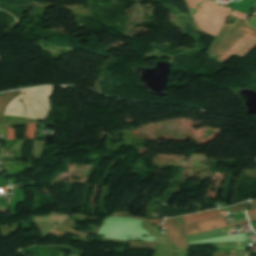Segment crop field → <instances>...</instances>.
<instances>
[{
    "mask_svg": "<svg viewBox=\"0 0 256 256\" xmlns=\"http://www.w3.org/2000/svg\"><path fill=\"white\" fill-rule=\"evenodd\" d=\"M256 45V37L246 34L231 49H229L219 60L225 61L234 52L244 56ZM235 53V54H236Z\"/></svg>",
    "mask_w": 256,
    "mask_h": 256,
    "instance_id": "crop-field-4",
    "label": "crop field"
},
{
    "mask_svg": "<svg viewBox=\"0 0 256 256\" xmlns=\"http://www.w3.org/2000/svg\"><path fill=\"white\" fill-rule=\"evenodd\" d=\"M36 124H27V130L25 136L27 138H34Z\"/></svg>",
    "mask_w": 256,
    "mask_h": 256,
    "instance_id": "crop-field-10",
    "label": "crop field"
},
{
    "mask_svg": "<svg viewBox=\"0 0 256 256\" xmlns=\"http://www.w3.org/2000/svg\"><path fill=\"white\" fill-rule=\"evenodd\" d=\"M20 93L21 92L18 90V91L9 92V93L5 94L4 96L0 97V115H3L4 107H5L6 103L9 100H11L14 97H16Z\"/></svg>",
    "mask_w": 256,
    "mask_h": 256,
    "instance_id": "crop-field-9",
    "label": "crop field"
},
{
    "mask_svg": "<svg viewBox=\"0 0 256 256\" xmlns=\"http://www.w3.org/2000/svg\"><path fill=\"white\" fill-rule=\"evenodd\" d=\"M246 33L241 30H236L223 41H221L215 49L210 53L209 57L219 58L223 53H225L229 48H231L243 35Z\"/></svg>",
    "mask_w": 256,
    "mask_h": 256,
    "instance_id": "crop-field-5",
    "label": "crop field"
},
{
    "mask_svg": "<svg viewBox=\"0 0 256 256\" xmlns=\"http://www.w3.org/2000/svg\"><path fill=\"white\" fill-rule=\"evenodd\" d=\"M218 217H220V216H219L217 210H213V211L193 214V215H189V216H184L182 218H183L184 223H191V222H195V221L218 218Z\"/></svg>",
    "mask_w": 256,
    "mask_h": 256,
    "instance_id": "crop-field-7",
    "label": "crop field"
},
{
    "mask_svg": "<svg viewBox=\"0 0 256 256\" xmlns=\"http://www.w3.org/2000/svg\"><path fill=\"white\" fill-rule=\"evenodd\" d=\"M247 213L250 221H253L256 219V209L250 210Z\"/></svg>",
    "mask_w": 256,
    "mask_h": 256,
    "instance_id": "crop-field-14",
    "label": "crop field"
},
{
    "mask_svg": "<svg viewBox=\"0 0 256 256\" xmlns=\"http://www.w3.org/2000/svg\"><path fill=\"white\" fill-rule=\"evenodd\" d=\"M240 28H242V29H244V30H246V31H248V32H250L251 34H253V35L256 36V33L252 32V31H250V30H248V29H246V28H244V27H242V26H241ZM250 33H249V34H250Z\"/></svg>",
    "mask_w": 256,
    "mask_h": 256,
    "instance_id": "crop-field-18",
    "label": "crop field"
},
{
    "mask_svg": "<svg viewBox=\"0 0 256 256\" xmlns=\"http://www.w3.org/2000/svg\"><path fill=\"white\" fill-rule=\"evenodd\" d=\"M116 215L127 216V217H134V216H131L129 213H122V214H116ZM134 218H139V217H134ZM140 219H148V218H140Z\"/></svg>",
    "mask_w": 256,
    "mask_h": 256,
    "instance_id": "crop-field-16",
    "label": "crop field"
},
{
    "mask_svg": "<svg viewBox=\"0 0 256 256\" xmlns=\"http://www.w3.org/2000/svg\"><path fill=\"white\" fill-rule=\"evenodd\" d=\"M246 222L247 221L227 225L225 218L222 217V218H218V219H213V220H208V221L183 225V227H184V230H185V234L190 235V234L201 232V231L213 230V229H217V228L242 224V223H246Z\"/></svg>",
    "mask_w": 256,
    "mask_h": 256,
    "instance_id": "crop-field-3",
    "label": "crop field"
},
{
    "mask_svg": "<svg viewBox=\"0 0 256 256\" xmlns=\"http://www.w3.org/2000/svg\"><path fill=\"white\" fill-rule=\"evenodd\" d=\"M163 219L148 220L151 223H161Z\"/></svg>",
    "mask_w": 256,
    "mask_h": 256,
    "instance_id": "crop-field-17",
    "label": "crop field"
},
{
    "mask_svg": "<svg viewBox=\"0 0 256 256\" xmlns=\"http://www.w3.org/2000/svg\"><path fill=\"white\" fill-rule=\"evenodd\" d=\"M256 16V15H255Z\"/></svg>",
    "mask_w": 256,
    "mask_h": 256,
    "instance_id": "crop-field-20",
    "label": "crop field"
},
{
    "mask_svg": "<svg viewBox=\"0 0 256 256\" xmlns=\"http://www.w3.org/2000/svg\"><path fill=\"white\" fill-rule=\"evenodd\" d=\"M246 24L256 28V17L254 16L252 19H250Z\"/></svg>",
    "mask_w": 256,
    "mask_h": 256,
    "instance_id": "crop-field-15",
    "label": "crop field"
},
{
    "mask_svg": "<svg viewBox=\"0 0 256 256\" xmlns=\"http://www.w3.org/2000/svg\"><path fill=\"white\" fill-rule=\"evenodd\" d=\"M7 139H16L15 130L7 127Z\"/></svg>",
    "mask_w": 256,
    "mask_h": 256,
    "instance_id": "crop-field-12",
    "label": "crop field"
},
{
    "mask_svg": "<svg viewBox=\"0 0 256 256\" xmlns=\"http://www.w3.org/2000/svg\"><path fill=\"white\" fill-rule=\"evenodd\" d=\"M188 6L189 9L191 8H195L196 7V4L200 3V2H203V1H206V0H184Z\"/></svg>",
    "mask_w": 256,
    "mask_h": 256,
    "instance_id": "crop-field-11",
    "label": "crop field"
},
{
    "mask_svg": "<svg viewBox=\"0 0 256 256\" xmlns=\"http://www.w3.org/2000/svg\"><path fill=\"white\" fill-rule=\"evenodd\" d=\"M246 236H247V234L243 233V234H239V235H231V236H225V237H219V238L198 240V241H192V242H188V243L246 240Z\"/></svg>",
    "mask_w": 256,
    "mask_h": 256,
    "instance_id": "crop-field-8",
    "label": "crop field"
},
{
    "mask_svg": "<svg viewBox=\"0 0 256 256\" xmlns=\"http://www.w3.org/2000/svg\"><path fill=\"white\" fill-rule=\"evenodd\" d=\"M231 14L236 16L237 18H241V19H244V20H246L249 17L248 15H245L243 13L237 12L235 10H233Z\"/></svg>",
    "mask_w": 256,
    "mask_h": 256,
    "instance_id": "crop-field-13",
    "label": "crop field"
},
{
    "mask_svg": "<svg viewBox=\"0 0 256 256\" xmlns=\"http://www.w3.org/2000/svg\"><path fill=\"white\" fill-rule=\"evenodd\" d=\"M229 11V8L218 6L215 2H207L193 17L201 30L216 36Z\"/></svg>",
    "mask_w": 256,
    "mask_h": 256,
    "instance_id": "crop-field-2",
    "label": "crop field"
},
{
    "mask_svg": "<svg viewBox=\"0 0 256 256\" xmlns=\"http://www.w3.org/2000/svg\"><path fill=\"white\" fill-rule=\"evenodd\" d=\"M166 224L169 225V232H167V235L170 237V239L175 242L179 247H186V240L183 232L182 226H177L176 219L175 218H168L165 219Z\"/></svg>",
    "mask_w": 256,
    "mask_h": 256,
    "instance_id": "crop-field-6",
    "label": "crop field"
},
{
    "mask_svg": "<svg viewBox=\"0 0 256 256\" xmlns=\"http://www.w3.org/2000/svg\"><path fill=\"white\" fill-rule=\"evenodd\" d=\"M142 220L134 218L123 217H108L105 218L103 226L100 228L97 234H105L104 237L118 238V239H143L153 241L155 236L152 237H127L130 236H142L149 233L140 226Z\"/></svg>",
    "mask_w": 256,
    "mask_h": 256,
    "instance_id": "crop-field-1",
    "label": "crop field"
},
{
    "mask_svg": "<svg viewBox=\"0 0 256 256\" xmlns=\"http://www.w3.org/2000/svg\"><path fill=\"white\" fill-rule=\"evenodd\" d=\"M230 256H234V255L231 254Z\"/></svg>",
    "mask_w": 256,
    "mask_h": 256,
    "instance_id": "crop-field-19",
    "label": "crop field"
}]
</instances>
